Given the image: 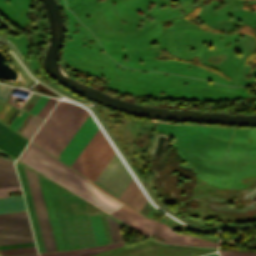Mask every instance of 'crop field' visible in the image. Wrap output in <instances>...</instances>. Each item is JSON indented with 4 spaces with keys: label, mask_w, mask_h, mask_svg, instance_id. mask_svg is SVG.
Wrapping results in <instances>:
<instances>
[{
    "label": "crop field",
    "mask_w": 256,
    "mask_h": 256,
    "mask_svg": "<svg viewBox=\"0 0 256 256\" xmlns=\"http://www.w3.org/2000/svg\"><path fill=\"white\" fill-rule=\"evenodd\" d=\"M205 256H218V254H210V255H205Z\"/></svg>",
    "instance_id": "obj_27"
},
{
    "label": "crop field",
    "mask_w": 256,
    "mask_h": 256,
    "mask_svg": "<svg viewBox=\"0 0 256 256\" xmlns=\"http://www.w3.org/2000/svg\"><path fill=\"white\" fill-rule=\"evenodd\" d=\"M219 253L221 256H235V255L245 254L243 252H233V251H223V250H219ZM240 256H256V253H250V254H245Z\"/></svg>",
    "instance_id": "obj_24"
},
{
    "label": "crop field",
    "mask_w": 256,
    "mask_h": 256,
    "mask_svg": "<svg viewBox=\"0 0 256 256\" xmlns=\"http://www.w3.org/2000/svg\"><path fill=\"white\" fill-rule=\"evenodd\" d=\"M38 180H39V184H40L41 191H42V194H43L46 209H47V212H48V216H49V220H50V223H51L54 238H55V241H56L57 249L58 250H65L64 245H63V241H62V237H61V233H60V229H59V225H58V221H57V217H56V214H55V210H54V206H53V202H52L48 182H47V180H45V179H43L39 176H38Z\"/></svg>",
    "instance_id": "obj_10"
},
{
    "label": "crop field",
    "mask_w": 256,
    "mask_h": 256,
    "mask_svg": "<svg viewBox=\"0 0 256 256\" xmlns=\"http://www.w3.org/2000/svg\"><path fill=\"white\" fill-rule=\"evenodd\" d=\"M17 168H18V172H19L23 192H24V195H25V199H26L30 219H31V222H32V226H33V230H34L38 250L40 252H46L45 247H44V243H43V239H42V236H41L39 224H38V221H37L36 213H35V210H34L32 198H31V195H30L28 183H27V180H26L24 168H23V166H21L19 164H17Z\"/></svg>",
    "instance_id": "obj_11"
},
{
    "label": "crop field",
    "mask_w": 256,
    "mask_h": 256,
    "mask_svg": "<svg viewBox=\"0 0 256 256\" xmlns=\"http://www.w3.org/2000/svg\"><path fill=\"white\" fill-rule=\"evenodd\" d=\"M15 110H16V108L4 104V106L0 110V121L6 124V122L9 120V118L15 112ZM19 111L20 110L17 109V111L14 113V115L8 121V123H7L8 126L12 122V120L15 118V116L18 114Z\"/></svg>",
    "instance_id": "obj_18"
},
{
    "label": "crop field",
    "mask_w": 256,
    "mask_h": 256,
    "mask_svg": "<svg viewBox=\"0 0 256 256\" xmlns=\"http://www.w3.org/2000/svg\"><path fill=\"white\" fill-rule=\"evenodd\" d=\"M131 180L132 177L115 155L94 183L118 197Z\"/></svg>",
    "instance_id": "obj_8"
},
{
    "label": "crop field",
    "mask_w": 256,
    "mask_h": 256,
    "mask_svg": "<svg viewBox=\"0 0 256 256\" xmlns=\"http://www.w3.org/2000/svg\"><path fill=\"white\" fill-rule=\"evenodd\" d=\"M115 218L128 224L129 226L139 230L143 234L149 237L151 233L165 239L160 243L167 244H179V245H192V246H204V247H214L217 248L218 243L206 241L202 239H197L189 237L187 235L176 234L171 231V229L159 222L149 220L128 207L127 205H122L112 214Z\"/></svg>",
    "instance_id": "obj_4"
},
{
    "label": "crop field",
    "mask_w": 256,
    "mask_h": 256,
    "mask_svg": "<svg viewBox=\"0 0 256 256\" xmlns=\"http://www.w3.org/2000/svg\"><path fill=\"white\" fill-rule=\"evenodd\" d=\"M26 210L23 197L0 198V213L17 212Z\"/></svg>",
    "instance_id": "obj_15"
},
{
    "label": "crop field",
    "mask_w": 256,
    "mask_h": 256,
    "mask_svg": "<svg viewBox=\"0 0 256 256\" xmlns=\"http://www.w3.org/2000/svg\"><path fill=\"white\" fill-rule=\"evenodd\" d=\"M28 145L32 146L33 148L37 149L38 151L42 152L43 154L47 155L48 157L52 158L63 166L67 167L66 165L56 160L34 144L29 143ZM28 145L18 160L22 161L23 163L27 164L28 166L52 179L63 187L67 188L68 190L74 192L75 194L88 200L94 205L107 211L109 214L116 210L118 207H120L122 204H124L112 195L105 192L104 190L80 177L81 175H77L78 173L75 174V171V173L72 172L73 170L69 167L67 168L72 171L63 167L62 165L58 164L57 162L53 161L52 159L48 158L47 156L43 155L42 153L38 152L37 150L33 149Z\"/></svg>",
    "instance_id": "obj_1"
},
{
    "label": "crop field",
    "mask_w": 256,
    "mask_h": 256,
    "mask_svg": "<svg viewBox=\"0 0 256 256\" xmlns=\"http://www.w3.org/2000/svg\"><path fill=\"white\" fill-rule=\"evenodd\" d=\"M18 185L12 161L0 158V187Z\"/></svg>",
    "instance_id": "obj_14"
},
{
    "label": "crop field",
    "mask_w": 256,
    "mask_h": 256,
    "mask_svg": "<svg viewBox=\"0 0 256 256\" xmlns=\"http://www.w3.org/2000/svg\"><path fill=\"white\" fill-rule=\"evenodd\" d=\"M47 100H48V97H45V96L41 95V97L38 99L36 104L30 110V113H33V114L37 115V113L40 111V109L42 108V106L45 104V102Z\"/></svg>",
    "instance_id": "obj_22"
},
{
    "label": "crop field",
    "mask_w": 256,
    "mask_h": 256,
    "mask_svg": "<svg viewBox=\"0 0 256 256\" xmlns=\"http://www.w3.org/2000/svg\"><path fill=\"white\" fill-rule=\"evenodd\" d=\"M88 114L85 109L60 100L32 142L56 157Z\"/></svg>",
    "instance_id": "obj_3"
},
{
    "label": "crop field",
    "mask_w": 256,
    "mask_h": 256,
    "mask_svg": "<svg viewBox=\"0 0 256 256\" xmlns=\"http://www.w3.org/2000/svg\"><path fill=\"white\" fill-rule=\"evenodd\" d=\"M43 120L32 116L27 125L24 127L20 134L24 135L28 139H31L35 131L38 129Z\"/></svg>",
    "instance_id": "obj_17"
},
{
    "label": "crop field",
    "mask_w": 256,
    "mask_h": 256,
    "mask_svg": "<svg viewBox=\"0 0 256 256\" xmlns=\"http://www.w3.org/2000/svg\"><path fill=\"white\" fill-rule=\"evenodd\" d=\"M100 214H101V217H102V221H103V225H104L106 237H107V236H110V232H109V229H108L106 217H105V215H103L102 213H100ZM110 239H111V236H110ZM107 241H108V243L110 242L109 237L107 238ZM111 242H112V240H111Z\"/></svg>",
    "instance_id": "obj_26"
},
{
    "label": "crop field",
    "mask_w": 256,
    "mask_h": 256,
    "mask_svg": "<svg viewBox=\"0 0 256 256\" xmlns=\"http://www.w3.org/2000/svg\"><path fill=\"white\" fill-rule=\"evenodd\" d=\"M25 172H26L28 183H29L31 195L33 198L34 206L36 209L38 221L40 224L42 236L44 239L46 251L47 252L55 251L57 249H56L55 241H54L53 234L51 231L48 216L46 213V209H45V205L43 202L40 187L38 184L37 176H36V174L32 173L31 171H29L26 168H25Z\"/></svg>",
    "instance_id": "obj_7"
},
{
    "label": "crop field",
    "mask_w": 256,
    "mask_h": 256,
    "mask_svg": "<svg viewBox=\"0 0 256 256\" xmlns=\"http://www.w3.org/2000/svg\"><path fill=\"white\" fill-rule=\"evenodd\" d=\"M37 252L35 247L31 248H22V249H12V250H3L0 251L1 256H8V255H16V254H24V253H32Z\"/></svg>",
    "instance_id": "obj_20"
},
{
    "label": "crop field",
    "mask_w": 256,
    "mask_h": 256,
    "mask_svg": "<svg viewBox=\"0 0 256 256\" xmlns=\"http://www.w3.org/2000/svg\"><path fill=\"white\" fill-rule=\"evenodd\" d=\"M13 87L0 85V99L6 101L10 93L13 91ZM12 94V93H11Z\"/></svg>",
    "instance_id": "obj_23"
},
{
    "label": "crop field",
    "mask_w": 256,
    "mask_h": 256,
    "mask_svg": "<svg viewBox=\"0 0 256 256\" xmlns=\"http://www.w3.org/2000/svg\"><path fill=\"white\" fill-rule=\"evenodd\" d=\"M34 242L27 213L0 215V245Z\"/></svg>",
    "instance_id": "obj_6"
},
{
    "label": "crop field",
    "mask_w": 256,
    "mask_h": 256,
    "mask_svg": "<svg viewBox=\"0 0 256 256\" xmlns=\"http://www.w3.org/2000/svg\"><path fill=\"white\" fill-rule=\"evenodd\" d=\"M118 198L139 211L148 201L134 180Z\"/></svg>",
    "instance_id": "obj_12"
},
{
    "label": "crop field",
    "mask_w": 256,
    "mask_h": 256,
    "mask_svg": "<svg viewBox=\"0 0 256 256\" xmlns=\"http://www.w3.org/2000/svg\"><path fill=\"white\" fill-rule=\"evenodd\" d=\"M65 249L94 246L85 203L49 182Z\"/></svg>",
    "instance_id": "obj_2"
},
{
    "label": "crop field",
    "mask_w": 256,
    "mask_h": 256,
    "mask_svg": "<svg viewBox=\"0 0 256 256\" xmlns=\"http://www.w3.org/2000/svg\"><path fill=\"white\" fill-rule=\"evenodd\" d=\"M90 221H91V224H92L96 244L97 245L106 244L107 242H106V239H105V235H104V231H103L100 216L90 217Z\"/></svg>",
    "instance_id": "obj_16"
},
{
    "label": "crop field",
    "mask_w": 256,
    "mask_h": 256,
    "mask_svg": "<svg viewBox=\"0 0 256 256\" xmlns=\"http://www.w3.org/2000/svg\"><path fill=\"white\" fill-rule=\"evenodd\" d=\"M21 191L19 186L16 187H8V188H0V197L9 196L7 192H15Z\"/></svg>",
    "instance_id": "obj_25"
},
{
    "label": "crop field",
    "mask_w": 256,
    "mask_h": 256,
    "mask_svg": "<svg viewBox=\"0 0 256 256\" xmlns=\"http://www.w3.org/2000/svg\"><path fill=\"white\" fill-rule=\"evenodd\" d=\"M98 128L89 114L57 158L70 165Z\"/></svg>",
    "instance_id": "obj_9"
},
{
    "label": "crop field",
    "mask_w": 256,
    "mask_h": 256,
    "mask_svg": "<svg viewBox=\"0 0 256 256\" xmlns=\"http://www.w3.org/2000/svg\"><path fill=\"white\" fill-rule=\"evenodd\" d=\"M23 256H37L36 254H31V255H23Z\"/></svg>",
    "instance_id": "obj_28"
},
{
    "label": "crop field",
    "mask_w": 256,
    "mask_h": 256,
    "mask_svg": "<svg viewBox=\"0 0 256 256\" xmlns=\"http://www.w3.org/2000/svg\"><path fill=\"white\" fill-rule=\"evenodd\" d=\"M114 154L99 129L70 166L94 182Z\"/></svg>",
    "instance_id": "obj_5"
},
{
    "label": "crop field",
    "mask_w": 256,
    "mask_h": 256,
    "mask_svg": "<svg viewBox=\"0 0 256 256\" xmlns=\"http://www.w3.org/2000/svg\"><path fill=\"white\" fill-rule=\"evenodd\" d=\"M57 100L49 98V100L46 102L44 107L41 109V111L38 113V116L42 118H46L54 104L56 103Z\"/></svg>",
    "instance_id": "obj_21"
},
{
    "label": "crop field",
    "mask_w": 256,
    "mask_h": 256,
    "mask_svg": "<svg viewBox=\"0 0 256 256\" xmlns=\"http://www.w3.org/2000/svg\"><path fill=\"white\" fill-rule=\"evenodd\" d=\"M123 245H124L123 242H119V243H113V244L84 248V249L45 253V254H40V256H86V255L94 254L97 252H101L104 250L112 249V248L123 246Z\"/></svg>",
    "instance_id": "obj_13"
},
{
    "label": "crop field",
    "mask_w": 256,
    "mask_h": 256,
    "mask_svg": "<svg viewBox=\"0 0 256 256\" xmlns=\"http://www.w3.org/2000/svg\"><path fill=\"white\" fill-rule=\"evenodd\" d=\"M113 242L122 240L119 225L107 217Z\"/></svg>",
    "instance_id": "obj_19"
}]
</instances>
